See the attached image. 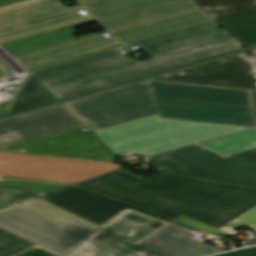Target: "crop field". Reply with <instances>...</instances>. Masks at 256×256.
<instances>
[{
  "mask_svg": "<svg viewBox=\"0 0 256 256\" xmlns=\"http://www.w3.org/2000/svg\"><path fill=\"white\" fill-rule=\"evenodd\" d=\"M217 26L212 21L123 44L126 48L143 47L153 58L146 61L127 58L119 47L33 71L32 75L61 100L242 49Z\"/></svg>",
  "mask_w": 256,
  "mask_h": 256,
  "instance_id": "crop-field-1",
  "label": "crop field"
},
{
  "mask_svg": "<svg viewBox=\"0 0 256 256\" xmlns=\"http://www.w3.org/2000/svg\"><path fill=\"white\" fill-rule=\"evenodd\" d=\"M96 131L153 114L256 127L250 91L142 81L63 104Z\"/></svg>",
  "mask_w": 256,
  "mask_h": 256,
  "instance_id": "crop-field-2",
  "label": "crop field"
},
{
  "mask_svg": "<svg viewBox=\"0 0 256 256\" xmlns=\"http://www.w3.org/2000/svg\"><path fill=\"white\" fill-rule=\"evenodd\" d=\"M77 185L173 219L249 226L256 233L254 189L163 173L143 181L119 171Z\"/></svg>",
  "mask_w": 256,
  "mask_h": 256,
  "instance_id": "crop-field-3",
  "label": "crop field"
},
{
  "mask_svg": "<svg viewBox=\"0 0 256 256\" xmlns=\"http://www.w3.org/2000/svg\"><path fill=\"white\" fill-rule=\"evenodd\" d=\"M79 6L33 0L0 10V45L28 71L115 45L95 33L76 38L73 27L94 22Z\"/></svg>",
  "mask_w": 256,
  "mask_h": 256,
  "instance_id": "crop-field-4",
  "label": "crop field"
},
{
  "mask_svg": "<svg viewBox=\"0 0 256 256\" xmlns=\"http://www.w3.org/2000/svg\"><path fill=\"white\" fill-rule=\"evenodd\" d=\"M81 128L63 105L21 115L0 122V151L114 162L116 154Z\"/></svg>",
  "mask_w": 256,
  "mask_h": 256,
  "instance_id": "crop-field-5",
  "label": "crop field"
},
{
  "mask_svg": "<svg viewBox=\"0 0 256 256\" xmlns=\"http://www.w3.org/2000/svg\"><path fill=\"white\" fill-rule=\"evenodd\" d=\"M198 143L220 155L237 153L256 147V129ZM147 164L159 172L256 189V151L253 150L224 159L192 144L149 157Z\"/></svg>",
  "mask_w": 256,
  "mask_h": 256,
  "instance_id": "crop-field-6",
  "label": "crop field"
},
{
  "mask_svg": "<svg viewBox=\"0 0 256 256\" xmlns=\"http://www.w3.org/2000/svg\"><path fill=\"white\" fill-rule=\"evenodd\" d=\"M121 44L212 21L190 0H77Z\"/></svg>",
  "mask_w": 256,
  "mask_h": 256,
  "instance_id": "crop-field-7",
  "label": "crop field"
},
{
  "mask_svg": "<svg viewBox=\"0 0 256 256\" xmlns=\"http://www.w3.org/2000/svg\"><path fill=\"white\" fill-rule=\"evenodd\" d=\"M118 169L108 162L0 152V188L50 193Z\"/></svg>",
  "mask_w": 256,
  "mask_h": 256,
  "instance_id": "crop-field-8",
  "label": "crop field"
},
{
  "mask_svg": "<svg viewBox=\"0 0 256 256\" xmlns=\"http://www.w3.org/2000/svg\"><path fill=\"white\" fill-rule=\"evenodd\" d=\"M245 127L160 119L149 116L94 132L117 155L148 156L196 140L221 135Z\"/></svg>",
  "mask_w": 256,
  "mask_h": 256,
  "instance_id": "crop-field-9",
  "label": "crop field"
},
{
  "mask_svg": "<svg viewBox=\"0 0 256 256\" xmlns=\"http://www.w3.org/2000/svg\"><path fill=\"white\" fill-rule=\"evenodd\" d=\"M167 225L124 211L65 256H170L144 243Z\"/></svg>",
  "mask_w": 256,
  "mask_h": 256,
  "instance_id": "crop-field-10",
  "label": "crop field"
},
{
  "mask_svg": "<svg viewBox=\"0 0 256 256\" xmlns=\"http://www.w3.org/2000/svg\"><path fill=\"white\" fill-rule=\"evenodd\" d=\"M0 228L62 256L96 232L72 220L55 222L19 204L0 210Z\"/></svg>",
  "mask_w": 256,
  "mask_h": 256,
  "instance_id": "crop-field-11",
  "label": "crop field"
},
{
  "mask_svg": "<svg viewBox=\"0 0 256 256\" xmlns=\"http://www.w3.org/2000/svg\"><path fill=\"white\" fill-rule=\"evenodd\" d=\"M150 80L256 90V57L242 53Z\"/></svg>",
  "mask_w": 256,
  "mask_h": 256,
  "instance_id": "crop-field-12",
  "label": "crop field"
},
{
  "mask_svg": "<svg viewBox=\"0 0 256 256\" xmlns=\"http://www.w3.org/2000/svg\"><path fill=\"white\" fill-rule=\"evenodd\" d=\"M38 198L99 226L104 225L123 209H132L167 223L173 220L77 185Z\"/></svg>",
  "mask_w": 256,
  "mask_h": 256,
  "instance_id": "crop-field-13",
  "label": "crop field"
},
{
  "mask_svg": "<svg viewBox=\"0 0 256 256\" xmlns=\"http://www.w3.org/2000/svg\"><path fill=\"white\" fill-rule=\"evenodd\" d=\"M245 47L256 44V0H192Z\"/></svg>",
  "mask_w": 256,
  "mask_h": 256,
  "instance_id": "crop-field-14",
  "label": "crop field"
},
{
  "mask_svg": "<svg viewBox=\"0 0 256 256\" xmlns=\"http://www.w3.org/2000/svg\"><path fill=\"white\" fill-rule=\"evenodd\" d=\"M187 231L167 226L146 243L172 256H202L223 251L183 236Z\"/></svg>",
  "mask_w": 256,
  "mask_h": 256,
  "instance_id": "crop-field-15",
  "label": "crop field"
},
{
  "mask_svg": "<svg viewBox=\"0 0 256 256\" xmlns=\"http://www.w3.org/2000/svg\"><path fill=\"white\" fill-rule=\"evenodd\" d=\"M57 100L58 99L52 95L40 82L30 75L28 76L10 114Z\"/></svg>",
  "mask_w": 256,
  "mask_h": 256,
  "instance_id": "crop-field-16",
  "label": "crop field"
},
{
  "mask_svg": "<svg viewBox=\"0 0 256 256\" xmlns=\"http://www.w3.org/2000/svg\"><path fill=\"white\" fill-rule=\"evenodd\" d=\"M19 204L58 222H64L68 219H72L93 230L99 227L37 198Z\"/></svg>",
  "mask_w": 256,
  "mask_h": 256,
  "instance_id": "crop-field-17",
  "label": "crop field"
},
{
  "mask_svg": "<svg viewBox=\"0 0 256 256\" xmlns=\"http://www.w3.org/2000/svg\"><path fill=\"white\" fill-rule=\"evenodd\" d=\"M33 245L36 244L0 229V256H12Z\"/></svg>",
  "mask_w": 256,
  "mask_h": 256,
  "instance_id": "crop-field-18",
  "label": "crop field"
},
{
  "mask_svg": "<svg viewBox=\"0 0 256 256\" xmlns=\"http://www.w3.org/2000/svg\"><path fill=\"white\" fill-rule=\"evenodd\" d=\"M44 195L43 193L25 192L17 190L0 189V209L29 200L38 196Z\"/></svg>",
  "mask_w": 256,
  "mask_h": 256,
  "instance_id": "crop-field-19",
  "label": "crop field"
},
{
  "mask_svg": "<svg viewBox=\"0 0 256 256\" xmlns=\"http://www.w3.org/2000/svg\"><path fill=\"white\" fill-rule=\"evenodd\" d=\"M178 221H181V222H184V223H186V224H189V225L198 227V228H200V229H203V230L212 232V233H214V234H219V235H226V234H228V233H226V232H223V231H220V230H217V229H214V228L205 226V225H203V224L194 222V221H192V220H189V219H186V218H183V217L179 218Z\"/></svg>",
  "mask_w": 256,
  "mask_h": 256,
  "instance_id": "crop-field-20",
  "label": "crop field"
},
{
  "mask_svg": "<svg viewBox=\"0 0 256 256\" xmlns=\"http://www.w3.org/2000/svg\"><path fill=\"white\" fill-rule=\"evenodd\" d=\"M17 256H58L42 248L36 247Z\"/></svg>",
  "mask_w": 256,
  "mask_h": 256,
  "instance_id": "crop-field-21",
  "label": "crop field"
},
{
  "mask_svg": "<svg viewBox=\"0 0 256 256\" xmlns=\"http://www.w3.org/2000/svg\"><path fill=\"white\" fill-rule=\"evenodd\" d=\"M20 88H21V86H18V89L13 93L11 100L0 102V117L8 114L10 107H11L18 91L20 90Z\"/></svg>",
  "mask_w": 256,
  "mask_h": 256,
  "instance_id": "crop-field-22",
  "label": "crop field"
},
{
  "mask_svg": "<svg viewBox=\"0 0 256 256\" xmlns=\"http://www.w3.org/2000/svg\"><path fill=\"white\" fill-rule=\"evenodd\" d=\"M218 256H256V247L232 253L222 254Z\"/></svg>",
  "mask_w": 256,
  "mask_h": 256,
  "instance_id": "crop-field-23",
  "label": "crop field"
},
{
  "mask_svg": "<svg viewBox=\"0 0 256 256\" xmlns=\"http://www.w3.org/2000/svg\"><path fill=\"white\" fill-rule=\"evenodd\" d=\"M9 73H11V70L0 61V81L4 80Z\"/></svg>",
  "mask_w": 256,
  "mask_h": 256,
  "instance_id": "crop-field-24",
  "label": "crop field"
},
{
  "mask_svg": "<svg viewBox=\"0 0 256 256\" xmlns=\"http://www.w3.org/2000/svg\"><path fill=\"white\" fill-rule=\"evenodd\" d=\"M172 224H175V225H177V226H180V227H183V228L189 229V230L194 231V232H197V233H199V232L203 231V230H200V229H197V228H195V227H192V226H189V225L183 224V223L178 222V221H176V222H174V223H172ZM201 233H202V232H201Z\"/></svg>",
  "mask_w": 256,
  "mask_h": 256,
  "instance_id": "crop-field-25",
  "label": "crop field"
},
{
  "mask_svg": "<svg viewBox=\"0 0 256 256\" xmlns=\"http://www.w3.org/2000/svg\"><path fill=\"white\" fill-rule=\"evenodd\" d=\"M22 1H25V0H0V8L11 5V4H15L18 2H22Z\"/></svg>",
  "mask_w": 256,
  "mask_h": 256,
  "instance_id": "crop-field-26",
  "label": "crop field"
},
{
  "mask_svg": "<svg viewBox=\"0 0 256 256\" xmlns=\"http://www.w3.org/2000/svg\"><path fill=\"white\" fill-rule=\"evenodd\" d=\"M119 171H122V172H125V173H127V174H130V175H133V176H135V177H138V176L134 175L133 173H131V172H129V171H126V170H124V169H121V170H119ZM138 178H141V177H138ZM141 179H143V178H141ZM143 180H146V179H143Z\"/></svg>",
  "mask_w": 256,
  "mask_h": 256,
  "instance_id": "crop-field-27",
  "label": "crop field"
},
{
  "mask_svg": "<svg viewBox=\"0 0 256 256\" xmlns=\"http://www.w3.org/2000/svg\"><path fill=\"white\" fill-rule=\"evenodd\" d=\"M251 52L256 53V49L255 50H251Z\"/></svg>",
  "mask_w": 256,
  "mask_h": 256,
  "instance_id": "crop-field-28",
  "label": "crop field"
}]
</instances>
